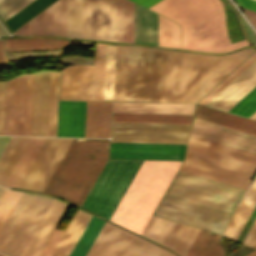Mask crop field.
Instances as JSON below:
<instances>
[{"instance_id": "crop-field-6", "label": "crop field", "mask_w": 256, "mask_h": 256, "mask_svg": "<svg viewBox=\"0 0 256 256\" xmlns=\"http://www.w3.org/2000/svg\"><path fill=\"white\" fill-rule=\"evenodd\" d=\"M245 189L178 171L165 196L232 214Z\"/></svg>"}, {"instance_id": "crop-field-1", "label": "crop field", "mask_w": 256, "mask_h": 256, "mask_svg": "<svg viewBox=\"0 0 256 256\" xmlns=\"http://www.w3.org/2000/svg\"><path fill=\"white\" fill-rule=\"evenodd\" d=\"M253 51L217 56L163 50L159 101L197 102Z\"/></svg>"}, {"instance_id": "crop-field-57", "label": "crop field", "mask_w": 256, "mask_h": 256, "mask_svg": "<svg viewBox=\"0 0 256 256\" xmlns=\"http://www.w3.org/2000/svg\"><path fill=\"white\" fill-rule=\"evenodd\" d=\"M91 215L88 214L87 218L85 219L84 223L82 224L81 228L79 229L78 233L76 234L75 238L73 239L71 245L69 246L68 250L66 251L64 256H69L73 247L75 246L77 240L79 239L80 235L82 234L84 228L86 227L87 223L89 222Z\"/></svg>"}, {"instance_id": "crop-field-66", "label": "crop field", "mask_w": 256, "mask_h": 256, "mask_svg": "<svg viewBox=\"0 0 256 256\" xmlns=\"http://www.w3.org/2000/svg\"><path fill=\"white\" fill-rule=\"evenodd\" d=\"M251 20V22L254 24V26H256V20L249 18Z\"/></svg>"}, {"instance_id": "crop-field-69", "label": "crop field", "mask_w": 256, "mask_h": 256, "mask_svg": "<svg viewBox=\"0 0 256 256\" xmlns=\"http://www.w3.org/2000/svg\"><path fill=\"white\" fill-rule=\"evenodd\" d=\"M1 255V254H0Z\"/></svg>"}, {"instance_id": "crop-field-31", "label": "crop field", "mask_w": 256, "mask_h": 256, "mask_svg": "<svg viewBox=\"0 0 256 256\" xmlns=\"http://www.w3.org/2000/svg\"><path fill=\"white\" fill-rule=\"evenodd\" d=\"M8 51H31L54 49L70 45V40L52 38H29V39H8L5 40Z\"/></svg>"}, {"instance_id": "crop-field-9", "label": "crop field", "mask_w": 256, "mask_h": 256, "mask_svg": "<svg viewBox=\"0 0 256 256\" xmlns=\"http://www.w3.org/2000/svg\"><path fill=\"white\" fill-rule=\"evenodd\" d=\"M86 256L174 255L106 221Z\"/></svg>"}, {"instance_id": "crop-field-22", "label": "crop field", "mask_w": 256, "mask_h": 256, "mask_svg": "<svg viewBox=\"0 0 256 256\" xmlns=\"http://www.w3.org/2000/svg\"><path fill=\"white\" fill-rule=\"evenodd\" d=\"M68 204L54 199L22 256H39Z\"/></svg>"}, {"instance_id": "crop-field-41", "label": "crop field", "mask_w": 256, "mask_h": 256, "mask_svg": "<svg viewBox=\"0 0 256 256\" xmlns=\"http://www.w3.org/2000/svg\"><path fill=\"white\" fill-rule=\"evenodd\" d=\"M159 45L180 47L179 25L159 16Z\"/></svg>"}, {"instance_id": "crop-field-15", "label": "crop field", "mask_w": 256, "mask_h": 256, "mask_svg": "<svg viewBox=\"0 0 256 256\" xmlns=\"http://www.w3.org/2000/svg\"><path fill=\"white\" fill-rule=\"evenodd\" d=\"M186 144L111 142L110 158L183 160Z\"/></svg>"}, {"instance_id": "crop-field-30", "label": "crop field", "mask_w": 256, "mask_h": 256, "mask_svg": "<svg viewBox=\"0 0 256 256\" xmlns=\"http://www.w3.org/2000/svg\"><path fill=\"white\" fill-rule=\"evenodd\" d=\"M218 238L219 235L201 229L186 256H225Z\"/></svg>"}, {"instance_id": "crop-field-64", "label": "crop field", "mask_w": 256, "mask_h": 256, "mask_svg": "<svg viewBox=\"0 0 256 256\" xmlns=\"http://www.w3.org/2000/svg\"><path fill=\"white\" fill-rule=\"evenodd\" d=\"M9 34L6 32V30L3 28V26L0 23V36H8Z\"/></svg>"}, {"instance_id": "crop-field-49", "label": "crop field", "mask_w": 256, "mask_h": 256, "mask_svg": "<svg viewBox=\"0 0 256 256\" xmlns=\"http://www.w3.org/2000/svg\"><path fill=\"white\" fill-rule=\"evenodd\" d=\"M256 59V52L251 55L245 62H243L237 69H235L228 77H226L220 84H218L211 92H209L198 103L205 105L218 92H220L227 84H229L237 75H239L246 67H248Z\"/></svg>"}, {"instance_id": "crop-field-12", "label": "crop field", "mask_w": 256, "mask_h": 256, "mask_svg": "<svg viewBox=\"0 0 256 256\" xmlns=\"http://www.w3.org/2000/svg\"><path fill=\"white\" fill-rule=\"evenodd\" d=\"M180 171L213 179L230 185L247 188L254 170L205 157L192 152H186Z\"/></svg>"}, {"instance_id": "crop-field-38", "label": "crop field", "mask_w": 256, "mask_h": 256, "mask_svg": "<svg viewBox=\"0 0 256 256\" xmlns=\"http://www.w3.org/2000/svg\"><path fill=\"white\" fill-rule=\"evenodd\" d=\"M193 116L113 114L112 121L191 123Z\"/></svg>"}, {"instance_id": "crop-field-65", "label": "crop field", "mask_w": 256, "mask_h": 256, "mask_svg": "<svg viewBox=\"0 0 256 256\" xmlns=\"http://www.w3.org/2000/svg\"><path fill=\"white\" fill-rule=\"evenodd\" d=\"M5 188L4 187H0V197L2 195V193L4 192Z\"/></svg>"}, {"instance_id": "crop-field-39", "label": "crop field", "mask_w": 256, "mask_h": 256, "mask_svg": "<svg viewBox=\"0 0 256 256\" xmlns=\"http://www.w3.org/2000/svg\"><path fill=\"white\" fill-rule=\"evenodd\" d=\"M104 221L92 216L70 256H85Z\"/></svg>"}, {"instance_id": "crop-field-28", "label": "crop field", "mask_w": 256, "mask_h": 256, "mask_svg": "<svg viewBox=\"0 0 256 256\" xmlns=\"http://www.w3.org/2000/svg\"><path fill=\"white\" fill-rule=\"evenodd\" d=\"M195 117L256 134V122L197 105Z\"/></svg>"}, {"instance_id": "crop-field-20", "label": "crop field", "mask_w": 256, "mask_h": 256, "mask_svg": "<svg viewBox=\"0 0 256 256\" xmlns=\"http://www.w3.org/2000/svg\"><path fill=\"white\" fill-rule=\"evenodd\" d=\"M256 85V60L218 93L206 106L227 111Z\"/></svg>"}, {"instance_id": "crop-field-10", "label": "crop field", "mask_w": 256, "mask_h": 256, "mask_svg": "<svg viewBox=\"0 0 256 256\" xmlns=\"http://www.w3.org/2000/svg\"><path fill=\"white\" fill-rule=\"evenodd\" d=\"M190 124L112 122L111 141L186 143Z\"/></svg>"}, {"instance_id": "crop-field-42", "label": "crop field", "mask_w": 256, "mask_h": 256, "mask_svg": "<svg viewBox=\"0 0 256 256\" xmlns=\"http://www.w3.org/2000/svg\"><path fill=\"white\" fill-rule=\"evenodd\" d=\"M68 37L82 38L81 0H67Z\"/></svg>"}, {"instance_id": "crop-field-35", "label": "crop field", "mask_w": 256, "mask_h": 256, "mask_svg": "<svg viewBox=\"0 0 256 256\" xmlns=\"http://www.w3.org/2000/svg\"><path fill=\"white\" fill-rule=\"evenodd\" d=\"M54 1L55 0H34L5 22L11 31H14Z\"/></svg>"}, {"instance_id": "crop-field-32", "label": "crop field", "mask_w": 256, "mask_h": 256, "mask_svg": "<svg viewBox=\"0 0 256 256\" xmlns=\"http://www.w3.org/2000/svg\"><path fill=\"white\" fill-rule=\"evenodd\" d=\"M30 137H12L0 158V184L4 185Z\"/></svg>"}, {"instance_id": "crop-field-56", "label": "crop field", "mask_w": 256, "mask_h": 256, "mask_svg": "<svg viewBox=\"0 0 256 256\" xmlns=\"http://www.w3.org/2000/svg\"><path fill=\"white\" fill-rule=\"evenodd\" d=\"M243 244L256 247V219L246 235Z\"/></svg>"}, {"instance_id": "crop-field-16", "label": "crop field", "mask_w": 256, "mask_h": 256, "mask_svg": "<svg viewBox=\"0 0 256 256\" xmlns=\"http://www.w3.org/2000/svg\"><path fill=\"white\" fill-rule=\"evenodd\" d=\"M190 134L256 154V135L254 134L195 117Z\"/></svg>"}, {"instance_id": "crop-field-36", "label": "crop field", "mask_w": 256, "mask_h": 256, "mask_svg": "<svg viewBox=\"0 0 256 256\" xmlns=\"http://www.w3.org/2000/svg\"><path fill=\"white\" fill-rule=\"evenodd\" d=\"M105 44L97 43L91 100H102Z\"/></svg>"}, {"instance_id": "crop-field-7", "label": "crop field", "mask_w": 256, "mask_h": 256, "mask_svg": "<svg viewBox=\"0 0 256 256\" xmlns=\"http://www.w3.org/2000/svg\"><path fill=\"white\" fill-rule=\"evenodd\" d=\"M143 160H108L82 207L110 219Z\"/></svg>"}, {"instance_id": "crop-field-2", "label": "crop field", "mask_w": 256, "mask_h": 256, "mask_svg": "<svg viewBox=\"0 0 256 256\" xmlns=\"http://www.w3.org/2000/svg\"><path fill=\"white\" fill-rule=\"evenodd\" d=\"M149 9L182 24V47L220 52L246 45H231L222 15L212 0H161Z\"/></svg>"}, {"instance_id": "crop-field-4", "label": "crop field", "mask_w": 256, "mask_h": 256, "mask_svg": "<svg viewBox=\"0 0 256 256\" xmlns=\"http://www.w3.org/2000/svg\"><path fill=\"white\" fill-rule=\"evenodd\" d=\"M181 162L144 160L110 220L141 234Z\"/></svg>"}, {"instance_id": "crop-field-55", "label": "crop field", "mask_w": 256, "mask_h": 256, "mask_svg": "<svg viewBox=\"0 0 256 256\" xmlns=\"http://www.w3.org/2000/svg\"><path fill=\"white\" fill-rule=\"evenodd\" d=\"M92 66L86 65L84 99L90 100Z\"/></svg>"}, {"instance_id": "crop-field-43", "label": "crop field", "mask_w": 256, "mask_h": 256, "mask_svg": "<svg viewBox=\"0 0 256 256\" xmlns=\"http://www.w3.org/2000/svg\"><path fill=\"white\" fill-rule=\"evenodd\" d=\"M255 195H256V178L253 181L252 185L250 186L249 190L247 191L245 197L240 203L238 209L236 210L235 214L233 215L231 221L229 222L223 234L232 238L235 230L237 229L239 223L241 222L244 214L246 213Z\"/></svg>"}, {"instance_id": "crop-field-13", "label": "crop field", "mask_w": 256, "mask_h": 256, "mask_svg": "<svg viewBox=\"0 0 256 256\" xmlns=\"http://www.w3.org/2000/svg\"><path fill=\"white\" fill-rule=\"evenodd\" d=\"M83 38L117 41L116 0H82Z\"/></svg>"}, {"instance_id": "crop-field-54", "label": "crop field", "mask_w": 256, "mask_h": 256, "mask_svg": "<svg viewBox=\"0 0 256 256\" xmlns=\"http://www.w3.org/2000/svg\"><path fill=\"white\" fill-rule=\"evenodd\" d=\"M62 233H63L62 230L55 229L54 233L52 234V236L49 239L48 243L46 244L45 248L41 252L40 256H50L52 250L54 249L55 245L57 244Z\"/></svg>"}, {"instance_id": "crop-field-18", "label": "crop field", "mask_w": 256, "mask_h": 256, "mask_svg": "<svg viewBox=\"0 0 256 256\" xmlns=\"http://www.w3.org/2000/svg\"><path fill=\"white\" fill-rule=\"evenodd\" d=\"M27 74L8 81L4 134L23 135Z\"/></svg>"}, {"instance_id": "crop-field-14", "label": "crop field", "mask_w": 256, "mask_h": 256, "mask_svg": "<svg viewBox=\"0 0 256 256\" xmlns=\"http://www.w3.org/2000/svg\"><path fill=\"white\" fill-rule=\"evenodd\" d=\"M72 138H47L19 188L43 192Z\"/></svg>"}, {"instance_id": "crop-field-51", "label": "crop field", "mask_w": 256, "mask_h": 256, "mask_svg": "<svg viewBox=\"0 0 256 256\" xmlns=\"http://www.w3.org/2000/svg\"><path fill=\"white\" fill-rule=\"evenodd\" d=\"M33 0H0V15L5 20Z\"/></svg>"}, {"instance_id": "crop-field-25", "label": "crop field", "mask_w": 256, "mask_h": 256, "mask_svg": "<svg viewBox=\"0 0 256 256\" xmlns=\"http://www.w3.org/2000/svg\"><path fill=\"white\" fill-rule=\"evenodd\" d=\"M135 43L158 45V15L136 4Z\"/></svg>"}, {"instance_id": "crop-field-68", "label": "crop field", "mask_w": 256, "mask_h": 256, "mask_svg": "<svg viewBox=\"0 0 256 256\" xmlns=\"http://www.w3.org/2000/svg\"><path fill=\"white\" fill-rule=\"evenodd\" d=\"M1 256H3V255H1Z\"/></svg>"}, {"instance_id": "crop-field-58", "label": "crop field", "mask_w": 256, "mask_h": 256, "mask_svg": "<svg viewBox=\"0 0 256 256\" xmlns=\"http://www.w3.org/2000/svg\"><path fill=\"white\" fill-rule=\"evenodd\" d=\"M255 205H256V197L254 198L252 204L250 205V207H249L247 213L245 214L242 222L240 223L238 229L236 230V232H235V234L233 236V239L236 240L238 234L240 233L242 227L244 226L245 222L247 221V219H248L249 215L251 214V212H252L253 208L255 207Z\"/></svg>"}, {"instance_id": "crop-field-60", "label": "crop field", "mask_w": 256, "mask_h": 256, "mask_svg": "<svg viewBox=\"0 0 256 256\" xmlns=\"http://www.w3.org/2000/svg\"><path fill=\"white\" fill-rule=\"evenodd\" d=\"M235 1L239 6L256 12V0H235Z\"/></svg>"}, {"instance_id": "crop-field-47", "label": "crop field", "mask_w": 256, "mask_h": 256, "mask_svg": "<svg viewBox=\"0 0 256 256\" xmlns=\"http://www.w3.org/2000/svg\"><path fill=\"white\" fill-rule=\"evenodd\" d=\"M22 192L7 189L0 199V230L17 203Z\"/></svg>"}, {"instance_id": "crop-field-24", "label": "crop field", "mask_w": 256, "mask_h": 256, "mask_svg": "<svg viewBox=\"0 0 256 256\" xmlns=\"http://www.w3.org/2000/svg\"><path fill=\"white\" fill-rule=\"evenodd\" d=\"M195 104L114 102L113 113L193 115Z\"/></svg>"}, {"instance_id": "crop-field-29", "label": "crop field", "mask_w": 256, "mask_h": 256, "mask_svg": "<svg viewBox=\"0 0 256 256\" xmlns=\"http://www.w3.org/2000/svg\"><path fill=\"white\" fill-rule=\"evenodd\" d=\"M186 226L187 225L173 222L171 228L169 229L166 237L162 242V245H165L173 250ZM198 231V228L187 226L173 251L177 252L181 256H185Z\"/></svg>"}, {"instance_id": "crop-field-52", "label": "crop field", "mask_w": 256, "mask_h": 256, "mask_svg": "<svg viewBox=\"0 0 256 256\" xmlns=\"http://www.w3.org/2000/svg\"><path fill=\"white\" fill-rule=\"evenodd\" d=\"M97 102L87 101L85 137H95Z\"/></svg>"}, {"instance_id": "crop-field-40", "label": "crop field", "mask_w": 256, "mask_h": 256, "mask_svg": "<svg viewBox=\"0 0 256 256\" xmlns=\"http://www.w3.org/2000/svg\"><path fill=\"white\" fill-rule=\"evenodd\" d=\"M128 46L118 45L114 100L124 101Z\"/></svg>"}, {"instance_id": "crop-field-50", "label": "crop field", "mask_w": 256, "mask_h": 256, "mask_svg": "<svg viewBox=\"0 0 256 256\" xmlns=\"http://www.w3.org/2000/svg\"><path fill=\"white\" fill-rule=\"evenodd\" d=\"M35 73L28 74L24 135H30Z\"/></svg>"}, {"instance_id": "crop-field-53", "label": "crop field", "mask_w": 256, "mask_h": 256, "mask_svg": "<svg viewBox=\"0 0 256 256\" xmlns=\"http://www.w3.org/2000/svg\"><path fill=\"white\" fill-rule=\"evenodd\" d=\"M7 81L0 83V134H3Z\"/></svg>"}, {"instance_id": "crop-field-19", "label": "crop field", "mask_w": 256, "mask_h": 256, "mask_svg": "<svg viewBox=\"0 0 256 256\" xmlns=\"http://www.w3.org/2000/svg\"><path fill=\"white\" fill-rule=\"evenodd\" d=\"M188 151L256 170V155L195 136L189 137Z\"/></svg>"}, {"instance_id": "crop-field-62", "label": "crop field", "mask_w": 256, "mask_h": 256, "mask_svg": "<svg viewBox=\"0 0 256 256\" xmlns=\"http://www.w3.org/2000/svg\"><path fill=\"white\" fill-rule=\"evenodd\" d=\"M10 139L11 137H0V156L2 155Z\"/></svg>"}, {"instance_id": "crop-field-46", "label": "crop field", "mask_w": 256, "mask_h": 256, "mask_svg": "<svg viewBox=\"0 0 256 256\" xmlns=\"http://www.w3.org/2000/svg\"><path fill=\"white\" fill-rule=\"evenodd\" d=\"M111 102H98L96 137H109Z\"/></svg>"}, {"instance_id": "crop-field-26", "label": "crop field", "mask_w": 256, "mask_h": 256, "mask_svg": "<svg viewBox=\"0 0 256 256\" xmlns=\"http://www.w3.org/2000/svg\"><path fill=\"white\" fill-rule=\"evenodd\" d=\"M85 65L62 69L60 99H83Z\"/></svg>"}, {"instance_id": "crop-field-48", "label": "crop field", "mask_w": 256, "mask_h": 256, "mask_svg": "<svg viewBox=\"0 0 256 256\" xmlns=\"http://www.w3.org/2000/svg\"><path fill=\"white\" fill-rule=\"evenodd\" d=\"M256 111V86L240 99L228 112L249 117Z\"/></svg>"}, {"instance_id": "crop-field-34", "label": "crop field", "mask_w": 256, "mask_h": 256, "mask_svg": "<svg viewBox=\"0 0 256 256\" xmlns=\"http://www.w3.org/2000/svg\"><path fill=\"white\" fill-rule=\"evenodd\" d=\"M117 45L106 44L103 100H113Z\"/></svg>"}, {"instance_id": "crop-field-44", "label": "crop field", "mask_w": 256, "mask_h": 256, "mask_svg": "<svg viewBox=\"0 0 256 256\" xmlns=\"http://www.w3.org/2000/svg\"><path fill=\"white\" fill-rule=\"evenodd\" d=\"M59 71L51 72L47 136H55Z\"/></svg>"}, {"instance_id": "crop-field-61", "label": "crop field", "mask_w": 256, "mask_h": 256, "mask_svg": "<svg viewBox=\"0 0 256 256\" xmlns=\"http://www.w3.org/2000/svg\"><path fill=\"white\" fill-rule=\"evenodd\" d=\"M146 8L150 7L151 5L155 4L159 0H132Z\"/></svg>"}, {"instance_id": "crop-field-37", "label": "crop field", "mask_w": 256, "mask_h": 256, "mask_svg": "<svg viewBox=\"0 0 256 256\" xmlns=\"http://www.w3.org/2000/svg\"><path fill=\"white\" fill-rule=\"evenodd\" d=\"M87 213L77 209L51 256H63L69 244L86 218Z\"/></svg>"}, {"instance_id": "crop-field-11", "label": "crop field", "mask_w": 256, "mask_h": 256, "mask_svg": "<svg viewBox=\"0 0 256 256\" xmlns=\"http://www.w3.org/2000/svg\"><path fill=\"white\" fill-rule=\"evenodd\" d=\"M154 214L219 233H222L230 217V214L165 196Z\"/></svg>"}, {"instance_id": "crop-field-8", "label": "crop field", "mask_w": 256, "mask_h": 256, "mask_svg": "<svg viewBox=\"0 0 256 256\" xmlns=\"http://www.w3.org/2000/svg\"><path fill=\"white\" fill-rule=\"evenodd\" d=\"M162 50L129 46L125 101H158Z\"/></svg>"}, {"instance_id": "crop-field-63", "label": "crop field", "mask_w": 256, "mask_h": 256, "mask_svg": "<svg viewBox=\"0 0 256 256\" xmlns=\"http://www.w3.org/2000/svg\"><path fill=\"white\" fill-rule=\"evenodd\" d=\"M242 10L246 13L247 16L249 17H252L254 19H256V13L255 12H252V11H249V10H246L244 8H242Z\"/></svg>"}, {"instance_id": "crop-field-33", "label": "crop field", "mask_w": 256, "mask_h": 256, "mask_svg": "<svg viewBox=\"0 0 256 256\" xmlns=\"http://www.w3.org/2000/svg\"><path fill=\"white\" fill-rule=\"evenodd\" d=\"M118 41L134 43V4L117 0Z\"/></svg>"}, {"instance_id": "crop-field-45", "label": "crop field", "mask_w": 256, "mask_h": 256, "mask_svg": "<svg viewBox=\"0 0 256 256\" xmlns=\"http://www.w3.org/2000/svg\"><path fill=\"white\" fill-rule=\"evenodd\" d=\"M171 224L172 221L152 215L144 228L142 235L161 244Z\"/></svg>"}, {"instance_id": "crop-field-5", "label": "crop field", "mask_w": 256, "mask_h": 256, "mask_svg": "<svg viewBox=\"0 0 256 256\" xmlns=\"http://www.w3.org/2000/svg\"><path fill=\"white\" fill-rule=\"evenodd\" d=\"M53 198L23 192L0 231V252L21 256Z\"/></svg>"}, {"instance_id": "crop-field-27", "label": "crop field", "mask_w": 256, "mask_h": 256, "mask_svg": "<svg viewBox=\"0 0 256 256\" xmlns=\"http://www.w3.org/2000/svg\"><path fill=\"white\" fill-rule=\"evenodd\" d=\"M45 140L46 138L31 137L29 143L7 179L5 186L18 188Z\"/></svg>"}, {"instance_id": "crop-field-21", "label": "crop field", "mask_w": 256, "mask_h": 256, "mask_svg": "<svg viewBox=\"0 0 256 256\" xmlns=\"http://www.w3.org/2000/svg\"><path fill=\"white\" fill-rule=\"evenodd\" d=\"M86 101H59L56 136L84 137Z\"/></svg>"}, {"instance_id": "crop-field-23", "label": "crop field", "mask_w": 256, "mask_h": 256, "mask_svg": "<svg viewBox=\"0 0 256 256\" xmlns=\"http://www.w3.org/2000/svg\"><path fill=\"white\" fill-rule=\"evenodd\" d=\"M50 72L36 73L31 135L46 136Z\"/></svg>"}, {"instance_id": "crop-field-67", "label": "crop field", "mask_w": 256, "mask_h": 256, "mask_svg": "<svg viewBox=\"0 0 256 256\" xmlns=\"http://www.w3.org/2000/svg\"><path fill=\"white\" fill-rule=\"evenodd\" d=\"M250 118L256 119V112L250 116Z\"/></svg>"}, {"instance_id": "crop-field-3", "label": "crop field", "mask_w": 256, "mask_h": 256, "mask_svg": "<svg viewBox=\"0 0 256 256\" xmlns=\"http://www.w3.org/2000/svg\"><path fill=\"white\" fill-rule=\"evenodd\" d=\"M108 139L73 138L44 192L81 206L108 160Z\"/></svg>"}, {"instance_id": "crop-field-59", "label": "crop field", "mask_w": 256, "mask_h": 256, "mask_svg": "<svg viewBox=\"0 0 256 256\" xmlns=\"http://www.w3.org/2000/svg\"><path fill=\"white\" fill-rule=\"evenodd\" d=\"M9 64L6 59L4 43L0 40V69L9 68Z\"/></svg>"}, {"instance_id": "crop-field-17", "label": "crop field", "mask_w": 256, "mask_h": 256, "mask_svg": "<svg viewBox=\"0 0 256 256\" xmlns=\"http://www.w3.org/2000/svg\"><path fill=\"white\" fill-rule=\"evenodd\" d=\"M14 34L67 37L66 0H58Z\"/></svg>"}]
</instances>
